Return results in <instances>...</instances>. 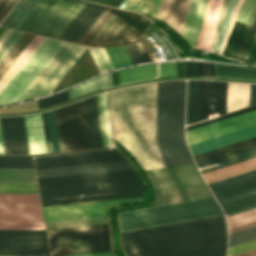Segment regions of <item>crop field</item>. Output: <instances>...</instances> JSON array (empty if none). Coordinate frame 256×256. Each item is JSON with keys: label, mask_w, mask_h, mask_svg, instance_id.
Returning <instances> with one entry per match:
<instances>
[{"label": "crop field", "mask_w": 256, "mask_h": 256, "mask_svg": "<svg viewBox=\"0 0 256 256\" xmlns=\"http://www.w3.org/2000/svg\"><path fill=\"white\" fill-rule=\"evenodd\" d=\"M185 81L135 85L108 92L114 138L145 170L194 162L184 142ZM157 97V120L156 119Z\"/></svg>", "instance_id": "1"}, {"label": "crop field", "mask_w": 256, "mask_h": 256, "mask_svg": "<svg viewBox=\"0 0 256 256\" xmlns=\"http://www.w3.org/2000/svg\"><path fill=\"white\" fill-rule=\"evenodd\" d=\"M226 223L124 240L128 256H153L194 248L224 244Z\"/></svg>", "instance_id": "2"}, {"label": "crop field", "mask_w": 256, "mask_h": 256, "mask_svg": "<svg viewBox=\"0 0 256 256\" xmlns=\"http://www.w3.org/2000/svg\"><path fill=\"white\" fill-rule=\"evenodd\" d=\"M147 172L156 188L157 206L212 197L194 163Z\"/></svg>", "instance_id": "3"}, {"label": "crop field", "mask_w": 256, "mask_h": 256, "mask_svg": "<svg viewBox=\"0 0 256 256\" xmlns=\"http://www.w3.org/2000/svg\"><path fill=\"white\" fill-rule=\"evenodd\" d=\"M221 214L222 209L210 198L122 213L119 222L125 231Z\"/></svg>", "instance_id": "4"}, {"label": "crop field", "mask_w": 256, "mask_h": 256, "mask_svg": "<svg viewBox=\"0 0 256 256\" xmlns=\"http://www.w3.org/2000/svg\"><path fill=\"white\" fill-rule=\"evenodd\" d=\"M52 256L112 251L108 224L47 230Z\"/></svg>", "instance_id": "5"}, {"label": "crop field", "mask_w": 256, "mask_h": 256, "mask_svg": "<svg viewBox=\"0 0 256 256\" xmlns=\"http://www.w3.org/2000/svg\"><path fill=\"white\" fill-rule=\"evenodd\" d=\"M86 4L79 0H41L18 29L59 39Z\"/></svg>", "instance_id": "6"}, {"label": "crop field", "mask_w": 256, "mask_h": 256, "mask_svg": "<svg viewBox=\"0 0 256 256\" xmlns=\"http://www.w3.org/2000/svg\"><path fill=\"white\" fill-rule=\"evenodd\" d=\"M0 229H45L38 194H0Z\"/></svg>", "instance_id": "7"}, {"label": "crop field", "mask_w": 256, "mask_h": 256, "mask_svg": "<svg viewBox=\"0 0 256 256\" xmlns=\"http://www.w3.org/2000/svg\"><path fill=\"white\" fill-rule=\"evenodd\" d=\"M144 185L142 181H136V182H126V183H116V184H106V185H96V186L45 190V191H40V193H41L43 206H48V205L68 204V203L95 201V200H103V199H118V198L143 196ZM110 192H122V193H113V194H105V195H97V196H89V197H81V198H71V199L50 200V199L62 198V197L110 193Z\"/></svg>", "instance_id": "8"}, {"label": "crop field", "mask_w": 256, "mask_h": 256, "mask_svg": "<svg viewBox=\"0 0 256 256\" xmlns=\"http://www.w3.org/2000/svg\"><path fill=\"white\" fill-rule=\"evenodd\" d=\"M63 43V41L45 38L0 92V105L15 103Z\"/></svg>", "instance_id": "9"}, {"label": "crop field", "mask_w": 256, "mask_h": 256, "mask_svg": "<svg viewBox=\"0 0 256 256\" xmlns=\"http://www.w3.org/2000/svg\"><path fill=\"white\" fill-rule=\"evenodd\" d=\"M224 211L236 214L256 208V170L209 184Z\"/></svg>", "instance_id": "10"}, {"label": "crop field", "mask_w": 256, "mask_h": 256, "mask_svg": "<svg viewBox=\"0 0 256 256\" xmlns=\"http://www.w3.org/2000/svg\"><path fill=\"white\" fill-rule=\"evenodd\" d=\"M86 48L65 42L18 101L50 93Z\"/></svg>", "instance_id": "11"}, {"label": "crop field", "mask_w": 256, "mask_h": 256, "mask_svg": "<svg viewBox=\"0 0 256 256\" xmlns=\"http://www.w3.org/2000/svg\"><path fill=\"white\" fill-rule=\"evenodd\" d=\"M55 112L62 151L89 149L82 100Z\"/></svg>", "instance_id": "12"}, {"label": "crop field", "mask_w": 256, "mask_h": 256, "mask_svg": "<svg viewBox=\"0 0 256 256\" xmlns=\"http://www.w3.org/2000/svg\"><path fill=\"white\" fill-rule=\"evenodd\" d=\"M0 256H50L45 230H0Z\"/></svg>", "instance_id": "13"}, {"label": "crop field", "mask_w": 256, "mask_h": 256, "mask_svg": "<svg viewBox=\"0 0 256 256\" xmlns=\"http://www.w3.org/2000/svg\"><path fill=\"white\" fill-rule=\"evenodd\" d=\"M143 197L43 207L46 222L108 216L107 205L135 203Z\"/></svg>", "instance_id": "14"}, {"label": "crop field", "mask_w": 256, "mask_h": 256, "mask_svg": "<svg viewBox=\"0 0 256 256\" xmlns=\"http://www.w3.org/2000/svg\"><path fill=\"white\" fill-rule=\"evenodd\" d=\"M150 22L122 10L94 46H115L134 42Z\"/></svg>", "instance_id": "15"}, {"label": "crop field", "mask_w": 256, "mask_h": 256, "mask_svg": "<svg viewBox=\"0 0 256 256\" xmlns=\"http://www.w3.org/2000/svg\"><path fill=\"white\" fill-rule=\"evenodd\" d=\"M141 180L136 170L38 179L40 190Z\"/></svg>", "instance_id": "16"}, {"label": "crop field", "mask_w": 256, "mask_h": 256, "mask_svg": "<svg viewBox=\"0 0 256 256\" xmlns=\"http://www.w3.org/2000/svg\"><path fill=\"white\" fill-rule=\"evenodd\" d=\"M112 149V148H108ZM103 150V149H98ZM93 151V150H87ZM84 152V151H76ZM75 153V152H66ZM66 153L36 155L47 156ZM127 159V158H126ZM117 150L34 158L36 169L126 160Z\"/></svg>", "instance_id": "17"}, {"label": "crop field", "mask_w": 256, "mask_h": 256, "mask_svg": "<svg viewBox=\"0 0 256 256\" xmlns=\"http://www.w3.org/2000/svg\"><path fill=\"white\" fill-rule=\"evenodd\" d=\"M256 124V110L187 131L188 144L197 143Z\"/></svg>", "instance_id": "18"}, {"label": "crop field", "mask_w": 256, "mask_h": 256, "mask_svg": "<svg viewBox=\"0 0 256 256\" xmlns=\"http://www.w3.org/2000/svg\"><path fill=\"white\" fill-rule=\"evenodd\" d=\"M227 82L201 81L199 121L209 114L226 113Z\"/></svg>", "instance_id": "19"}, {"label": "crop field", "mask_w": 256, "mask_h": 256, "mask_svg": "<svg viewBox=\"0 0 256 256\" xmlns=\"http://www.w3.org/2000/svg\"><path fill=\"white\" fill-rule=\"evenodd\" d=\"M256 16V0H244L234 24L251 25ZM250 26L234 25L223 55L235 59Z\"/></svg>", "instance_id": "20"}, {"label": "crop field", "mask_w": 256, "mask_h": 256, "mask_svg": "<svg viewBox=\"0 0 256 256\" xmlns=\"http://www.w3.org/2000/svg\"><path fill=\"white\" fill-rule=\"evenodd\" d=\"M0 121L5 154H29L23 116L2 117Z\"/></svg>", "instance_id": "21"}, {"label": "crop field", "mask_w": 256, "mask_h": 256, "mask_svg": "<svg viewBox=\"0 0 256 256\" xmlns=\"http://www.w3.org/2000/svg\"><path fill=\"white\" fill-rule=\"evenodd\" d=\"M134 169L128 161L36 170L38 178Z\"/></svg>", "instance_id": "22"}, {"label": "crop field", "mask_w": 256, "mask_h": 256, "mask_svg": "<svg viewBox=\"0 0 256 256\" xmlns=\"http://www.w3.org/2000/svg\"><path fill=\"white\" fill-rule=\"evenodd\" d=\"M119 84L135 80L177 76L175 62L136 66L117 71Z\"/></svg>", "instance_id": "23"}, {"label": "crop field", "mask_w": 256, "mask_h": 256, "mask_svg": "<svg viewBox=\"0 0 256 256\" xmlns=\"http://www.w3.org/2000/svg\"><path fill=\"white\" fill-rule=\"evenodd\" d=\"M104 8L88 3L60 39L77 43Z\"/></svg>", "instance_id": "24"}, {"label": "crop field", "mask_w": 256, "mask_h": 256, "mask_svg": "<svg viewBox=\"0 0 256 256\" xmlns=\"http://www.w3.org/2000/svg\"><path fill=\"white\" fill-rule=\"evenodd\" d=\"M207 2V0H190L182 36H184L193 47H196Z\"/></svg>", "instance_id": "25"}, {"label": "crop field", "mask_w": 256, "mask_h": 256, "mask_svg": "<svg viewBox=\"0 0 256 256\" xmlns=\"http://www.w3.org/2000/svg\"><path fill=\"white\" fill-rule=\"evenodd\" d=\"M188 3L189 0H161L156 18L165 21L180 35Z\"/></svg>", "instance_id": "26"}, {"label": "crop field", "mask_w": 256, "mask_h": 256, "mask_svg": "<svg viewBox=\"0 0 256 256\" xmlns=\"http://www.w3.org/2000/svg\"><path fill=\"white\" fill-rule=\"evenodd\" d=\"M256 136V125L239 131H235L223 136L206 140L197 144L190 145L192 154H198L204 151L215 149L221 146L232 144L238 141L249 139Z\"/></svg>", "instance_id": "27"}, {"label": "crop field", "mask_w": 256, "mask_h": 256, "mask_svg": "<svg viewBox=\"0 0 256 256\" xmlns=\"http://www.w3.org/2000/svg\"><path fill=\"white\" fill-rule=\"evenodd\" d=\"M211 1L212 0H209L208 6L206 9L204 21L202 24L201 32H200L197 47H196L197 49H199L200 46L208 47V48L211 47L212 39L214 36L215 28L217 25L218 17H219L221 6H222L218 4H222L223 0H213L214 3H218V4L211 3ZM203 47H201L200 49H204L208 51L210 50L208 48H203Z\"/></svg>", "instance_id": "28"}, {"label": "crop field", "mask_w": 256, "mask_h": 256, "mask_svg": "<svg viewBox=\"0 0 256 256\" xmlns=\"http://www.w3.org/2000/svg\"><path fill=\"white\" fill-rule=\"evenodd\" d=\"M24 119L30 154L46 153L40 113Z\"/></svg>", "instance_id": "29"}, {"label": "crop field", "mask_w": 256, "mask_h": 256, "mask_svg": "<svg viewBox=\"0 0 256 256\" xmlns=\"http://www.w3.org/2000/svg\"><path fill=\"white\" fill-rule=\"evenodd\" d=\"M120 11V9L106 7L78 43L93 46Z\"/></svg>", "instance_id": "30"}, {"label": "crop field", "mask_w": 256, "mask_h": 256, "mask_svg": "<svg viewBox=\"0 0 256 256\" xmlns=\"http://www.w3.org/2000/svg\"><path fill=\"white\" fill-rule=\"evenodd\" d=\"M90 149L102 147L95 96L84 99Z\"/></svg>", "instance_id": "31"}, {"label": "crop field", "mask_w": 256, "mask_h": 256, "mask_svg": "<svg viewBox=\"0 0 256 256\" xmlns=\"http://www.w3.org/2000/svg\"><path fill=\"white\" fill-rule=\"evenodd\" d=\"M249 84L228 82L227 113L248 106Z\"/></svg>", "instance_id": "32"}, {"label": "crop field", "mask_w": 256, "mask_h": 256, "mask_svg": "<svg viewBox=\"0 0 256 256\" xmlns=\"http://www.w3.org/2000/svg\"><path fill=\"white\" fill-rule=\"evenodd\" d=\"M44 37L35 35V37L30 41V43L25 47L21 54L16 58L8 70L0 78V91L9 82V80L14 76L18 69L23 65V63L28 59V57L33 53V51L38 47V45L43 41Z\"/></svg>", "instance_id": "33"}, {"label": "crop field", "mask_w": 256, "mask_h": 256, "mask_svg": "<svg viewBox=\"0 0 256 256\" xmlns=\"http://www.w3.org/2000/svg\"><path fill=\"white\" fill-rule=\"evenodd\" d=\"M222 222H225L224 217L167 226V227H161V228H155V229H149V230H143V231H137V232H131V233H125V234H122V240L144 236V235H150V234H156V233H162V232H168V231H174V230H180V229H186V228H192V227H198V226H204V225H210V224H216V223H222Z\"/></svg>", "instance_id": "34"}, {"label": "crop field", "mask_w": 256, "mask_h": 256, "mask_svg": "<svg viewBox=\"0 0 256 256\" xmlns=\"http://www.w3.org/2000/svg\"><path fill=\"white\" fill-rule=\"evenodd\" d=\"M39 1L40 0H21L0 25L17 29Z\"/></svg>", "instance_id": "35"}, {"label": "crop field", "mask_w": 256, "mask_h": 256, "mask_svg": "<svg viewBox=\"0 0 256 256\" xmlns=\"http://www.w3.org/2000/svg\"><path fill=\"white\" fill-rule=\"evenodd\" d=\"M217 77L256 80V66H233L214 63Z\"/></svg>", "instance_id": "36"}, {"label": "crop field", "mask_w": 256, "mask_h": 256, "mask_svg": "<svg viewBox=\"0 0 256 256\" xmlns=\"http://www.w3.org/2000/svg\"><path fill=\"white\" fill-rule=\"evenodd\" d=\"M54 152L61 151L55 113L48 112ZM47 112L41 113L47 153L53 152Z\"/></svg>", "instance_id": "37"}, {"label": "crop field", "mask_w": 256, "mask_h": 256, "mask_svg": "<svg viewBox=\"0 0 256 256\" xmlns=\"http://www.w3.org/2000/svg\"><path fill=\"white\" fill-rule=\"evenodd\" d=\"M112 86L110 73L71 88L73 99L88 92Z\"/></svg>", "instance_id": "38"}, {"label": "crop field", "mask_w": 256, "mask_h": 256, "mask_svg": "<svg viewBox=\"0 0 256 256\" xmlns=\"http://www.w3.org/2000/svg\"><path fill=\"white\" fill-rule=\"evenodd\" d=\"M0 182H36L34 169H0Z\"/></svg>", "instance_id": "39"}, {"label": "crop field", "mask_w": 256, "mask_h": 256, "mask_svg": "<svg viewBox=\"0 0 256 256\" xmlns=\"http://www.w3.org/2000/svg\"><path fill=\"white\" fill-rule=\"evenodd\" d=\"M33 36V34L24 33L23 36L14 45V47L10 50V52L5 56V58L0 63V77L15 60V58L20 54L28 42L33 38Z\"/></svg>", "instance_id": "40"}, {"label": "crop field", "mask_w": 256, "mask_h": 256, "mask_svg": "<svg viewBox=\"0 0 256 256\" xmlns=\"http://www.w3.org/2000/svg\"><path fill=\"white\" fill-rule=\"evenodd\" d=\"M254 144H256V137L252 138V139H249V140L242 141V142H238V143H235V144H232V145L221 147V148H218V149H215V150L204 152V153H201V154H198V155H194L193 157L196 160V162H198V161L210 158V157H214V156H217V155H220V154H224V153L234 151V150H237V149H240V148H244V147H247V146H251V145H254Z\"/></svg>", "instance_id": "41"}, {"label": "crop field", "mask_w": 256, "mask_h": 256, "mask_svg": "<svg viewBox=\"0 0 256 256\" xmlns=\"http://www.w3.org/2000/svg\"><path fill=\"white\" fill-rule=\"evenodd\" d=\"M159 2L160 0H131L125 9L156 17Z\"/></svg>", "instance_id": "42"}, {"label": "crop field", "mask_w": 256, "mask_h": 256, "mask_svg": "<svg viewBox=\"0 0 256 256\" xmlns=\"http://www.w3.org/2000/svg\"><path fill=\"white\" fill-rule=\"evenodd\" d=\"M226 244L162 256H225Z\"/></svg>", "instance_id": "43"}, {"label": "crop field", "mask_w": 256, "mask_h": 256, "mask_svg": "<svg viewBox=\"0 0 256 256\" xmlns=\"http://www.w3.org/2000/svg\"><path fill=\"white\" fill-rule=\"evenodd\" d=\"M0 168H34L30 156H0Z\"/></svg>", "instance_id": "44"}, {"label": "crop field", "mask_w": 256, "mask_h": 256, "mask_svg": "<svg viewBox=\"0 0 256 256\" xmlns=\"http://www.w3.org/2000/svg\"><path fill=\"white\" fill-rule=\"evenodd\" d=\"M0 193H38L36 183H0Z\"/></svg>", "instance_id": "45"}, {"label": "crop field", "mask_w": 256, "mask_h": 256, "mask_svg": "<svg viewBox=\"0 0 256 256\" xmlns=\"http://www.w3.org/2000/svg\"><path fill=\"white\" fill-rule=\"evenodd\" d=\"M114 68L132 64L124 47L105 48Z\"/></svg>", "instance_id": "46"}, {"label": "crop field", "mask_w": 256, "mask_h": 256, "mask_svg": "<svg viewBox=\"0 0 256 256\" xmlns=\"http://www.w3.org/2000/svg\"><path fill=\"white\" fill-rule=\"evenodd\" d=\"M253 157H256V149L251 150V151H247V152L235 155V156H231V157H228V158H225V159H222V160H218V161L206 164V165L199 166V169L214 165L215 163L221 162V161H223L224 165L226 166V165H230V164H233V163H236V162H239V161H243V160H246V159H249V158H253ZM216 168H218V167L215 166V167H212V168H209V169L201 170V173L206 172V171H210V170H213V169H216Z\"/></svg>", "instance_id": "47"}, {"label": "crop field", "mask_w": 256, "mask_h": 256, "mask_svg": "<svg viewBox=\"0 0 256 256\" xmlns=\"http://www.w3.org/2000/svg\"><path fill=\"white\" fill-rule=\"evenodd\" d=\"M228 227L233 228L246 223L256 221V209L227 217Z\"/></svg>", "instance_id": "48"}, {"label": "crop field", "mask_w": 256, "mask_h": 256, "mask_svg": "<svg viewBox=\"0 0 256 256\" xmlns=\"http://www.w3.org/2000/svg\"><path fill=\"white\" fill-rule=\"evenodd\" d=\"M100 72L113 69V66L104 50V48H89Z\"/></svg>", "instance_id": "49"}, {"label": "crop field", "mask_w": 256, "mask_h": 256, "mask_svg": "<svg viewBox=\"0 0 256 256\" xmlns=\"http://www.w3.org/2000/svg\"><path fill=\"white\" fill-rule=\"evenodd\" d=\"M107 147L113 146L105 94H99Z\"/></svg>", "instance_id": "50"}, {"label": "crop field", "mask_w": 256, "mask_h": 256, "mask_svg": "<svg viewBox=\"0 0 256 256\" xmlns=\"http://www.w3.org/2000/svg\"><path fill=\"white\" fill-rule=\"evenodd\" d=\"M256 238V227L229 235L228 247Z\"/></svg>", "instance_id": "51"}, {"label": "crop field", "mask_w": 256, "mask_h": 256, "mask_svg": "<svg viewBox=\"0 0 256 256\" xmlns=\"http://www.w3.org/2000/svg\"><path fill=\"white\" fill-rule=\"evenodd\" d=\"M23 32L13 30L12 33L7 37V39L0 46V61L8 53V51L13 47L17 40L22 36Z\"/></svg>", "instance_id": "52"}, {"label": "crop field", "mask_w": 256, "mask_h": 256, "mask_svg": "<svg viewBox=\"0 0 256 256\" xmlns=\"http://www.w3.org/2000/svg\"><path fill=\"white\" fill-rule=\"evenodd\" d=\"M68 99H69L68 92L66 90L62 93H59V94L55 95V96H52V97H49V98H46V99H43V100H39L38 101L39 109L43 108V107H49V106H52V105H55V104L62 103L64 101L68 100Z\"/></svg>", "instance_id": "53"}, {"label": "crop field", "mask_w": 256, "mask_h": 256, "mask_svg": "<svg viewBox=\"0 0 256 256\" xmlns=\"http://www.w3.org/2000/svg\"><path fill=\"white\" fill-rule=\"evenodd\" d=\"M236 2H237V0H231V2L229 4L228 11H227V14H226V17H225V20H224V23H223V26H222V29H221V32H220V36H219V39H218L215 51H214L216 53L219 50L220 44L222 42L223 36L225 34V31H226V28L228 26V23L230 21V18H231V15L233 13V10H234V7L236 5Z\"/></svg>", "instance_id": "54"}, {"label": "crop field", "mask_w": 256, "mask_h": 256, "mask_svg": "<svg viewBox=\"0 0 256 256\" xmlns=\"http://www.w3.org/2000/svg\"><path fill=\"white\" fill-rule=\"evenodd\" d=\"M256 248V239L228 248L227 256L235 255Z\"/></svg>", "instance_id": "55"}, {"label": "crop field", "mask_w": 256, "mask_h": 256, "mask_svg": "<svg viewBox=\"0 0 256 256\" xmlns=\"http://www.w3.org/2000/svg\"><path fill=\"white\" fill-rule=\"evenodd\" d=\"M241 60H244L247 62L256 61V31Z\"/></svg>", "instance_id": "56"}, {"label": "crop field", "mask_w": 256, "mask_h": 256, "mask_svg": "<svg viewBox=\"0 0 256 256\" xmlns=\"http://www.w3.org/2000/svg\"><path fill=\"white\" fill-rule=\"evenodd\" d=\"M194 80L188 81L186 125L191 124Z\"/></svg>", "instance_id": "57"}, {"label": "crop field", "mask_w": 256, "mask_h": 256, "mask_svg": "<svg viewBox=\"0 0 256 256\" xmlns=\"http://www.w3.org/2000/svg\"><path fill=\"white\" fill-rule=\"evenodd\" d=\"M124 47L133 64L144 61L135 43L125 45Z\"/></svg>", "instance_id": "58"}, {"label": "crop field", "mask_w": 256, "mask_h": 256, "mask_svg": "<svg viewBox=\"0 0 256 256\" xmlns=\"http://www.w3.org/2000/svg\"><path fill=\"white\" fill-rule=\"evenodd\" d=\"M253 109H256V105L245 108V109H242V110H239V111H235V112H232V113H229V114L217 117V118H213V119H210V120L198 123V124L188 126V127H186V130L190 129V128L197 127V126H200V125H204V124H207V123H210V122H213V121H217V120H220V119H223V118H227V117H230V116H233V115H236V114H240V113H243V112H246V111H249V110H253Z\"/></svg>", "instance_id": "59"}, {"label": "crop field", "mask_w": 256, "mask_h": 256, "mask_svg": "<svg viewBox=\"0 0 256 256\" xmlns=\"http://www.w3.org/2000/svg\"><path fill=\"white\" fill-rule=\"evenodd\" d=\"M229 1L230 0H224L222 11H221V14H220V18H219V21H218L217 29H216L215 36H214L213 43H212V47H211L212 49L215 48L217 38H218L222 23H223V20H224V17H225V13H226Z\"/></svg>", "instance_id": "60"}, {"label": "crop field", "mask_w": 256, "mask_h": 256, "mask_svg": "<svg viewBox=\"0 0 256 256\" xmlns=\"http://www.w3.org/2000/svg\"><path fill=\"white\" fill-rule=\"evenodd\" d=\"M200 81L195 80L192 123L198 121V98Z\"/></svg>", "instance_id": "61"}, {"label": "crop field", "mask_w": 256, "mask_h": 256, "mask_svg": "<svg viewBox=\"0 0 256 256\" xmlns=\"http://www.w3.org/2000/svg\"><path fill=\"white\" fill-rule=\"evenodd\" d=\"M200 76H215L213 63L198 62Z\"/></svg>", "instance_id": "62"}, {"label": "crop field", "mask_w": 256, "mask_h": 256, "mask_svg": "<svg viewBox=\"0 0 256 256\" xmlns=\"http://www.w3.org/2000/svg\"><path fill=\"white\" fill-rule=\"evenodd\" d=\"M242 2H243V0H239L238 3H237V5H236V7H235V10H234V13H233V15H232L231 21H230V23H229L228 29H227V31H226V34H225V36H224V39H223V42H222V44H221L220 50H219V52H218V53H220V54H221L222 51H223L224 45H225V43H226V40H227L228 35H229V33H230L231 27H232V25H233V22H234V20H235V17H236V15H237V13H238V10H239V8H240Z\"/></svg>", "instance_id": "63"}, {"label": "crop field", "mask_w": 256, "mask_h": 256, "mask_svg": "<svg viewBox=\"0 0 256 256\" xmlns=\"http://www.w3.org/2000/svg\"><path fill=\"white\" fill-rule=\"evenodd\" d=\"M185 76H199L197 62H183Z\"/></svg>", "instance_id": "64"}, {"label": "crop field", "mask_w": 256, "mask_h": 256, "mask_svg": "<svg viewBox=\"0 0 256 256\" xmlns=\"http://www.w3.org/2000/svg\"><path fill=\"white\" fill-rule=\"evenodd\" d=\"M16 1L17 0H0V21L16 3Z\"/></svg>", "instance_id": "65"}, {"label": "crop field", "mask_w": 256, "mask_h": 256, "mask_svg": "<svg viewBox=\"0 0 256 256\" xmlns=\"http://www.w3.org/2000/svg\"><path fill=\"white\" fill-rule=\"evenodd\" d=\"M255 28H256V19H255V21H254V23H253V25H252V27H251L247 37H246V39H245V41H244V43H243V45H242V47H241L237 57H236V59H238V60L241 59V57H242V55H243V53H244V51H245V49H246L250 39L252 37V34H253Z\"/></svg>", "instance_id": "66"}, {"label": "crop field", "mask_w": 256, "mask_h": 256, "mask_svg": "<svg viewBox=\"0 0 256 256\" xmlns=\"http://www.w3.org/2000/svg\"><path fill=\"white\" fill-rule=\"evenodd\" d=\"M254 148H256V145L252 146V147L242 149V150H238V151H235V152H232V153H229V154H225V155H222V156H219V157H216V158H212V159H209V160L198 162L197 165L199 166V165H202V164H206V163H209V162H212V161H215V160H218V159H222V158H225V157H228V156H231V155H235V154H238V153H241V152H244V151H247V150H251V149H254Z\"/></svg>", "instance_id": "67"}, {"label": "crop field", "mask_w": 256, "mask_h": 256, "mask_svg": "<svg viewBox=\"0 0 256 256\" xmlns=\"http://www.w3.org/2000/svg\"><path fill=\"white\" fill-rule=\"evenodd\" d=\"M89 1H94V2L119 8V6L123 3L124 0H89Z\"/></svg>", "instance_id": "68"}, {"label": "crop field", "mask_w": 256, "mask_h": 256, "mask_svg": "<svg viewBox=\"0 0 256 256\" xmlns=\"http://www.w3.org/2000/svg\"><path fill=\"white\" fill-rule=\"evenodd\" d=\"M256 104V84H250L249 106Z\"/></svg>", "instance_id": "69"}, {"label": "crop field", "mask_w": 256, "mask_h": 256, "mask_svg": "<svg viewBox=\"0 0 256 256\" xmlns=\"http://www.w3.org/2000/svg\"><path fill=\"white\" fill-rule=\"evenodd\" d=\"M96 99H97V107H98V114H99V121H100L102 144H103V147H106L98 95L96 96Z\"/></svg>", "instance_id": "70"}, {"label": "crop field", "mask_w": 256, "mask_h": 256, "mask_svg": "<svg viewBox=\"0 0 256 256\" xmlns=\"http://www.w3.org/2000/svg\"><path fill=\"white\" fill-rule=\"evenodd\" d=\"M253 226H256V222H253V223H250V224H246V225H243V226H240V227H237V228L230 229L229 230V234L233 233V232H237V231L243 230V229H246V228H249V227H253Z\"/></svg>", "instance_id": "71"}, {"label": "crop field", "mask_w": 256, "mask_h": 256, "mask_svg": "<svg viewBox=\"0 0 256 256\" xmlns=\"http://www.w3.org/2000/svg\"><path fill=\"white\" fill-rule=\"evenodd\" d=\"M136 44H137V46H138V48H139V50H140L144 60L145 61H150L148 56H147V54H146V52H145V49H144V47H143V45H142V43L140 41V39L136 42Z\"/></svg>", "instance_id": "72"}, {"label": "crop field", "mask_w": 256, "mask_h": 256, "mask_svg": "<svg viewBox=\"0 0 256 256\" xmlns=\"http://www.w3.org/2000/svg\"><path fill=\"white\" fill-rule=\"evenodd\" d=\"M77 256H113L112 252L107 253H97V254H87V255H77Z\"/></svg>", "instance_id": "73"}, {"label": "crop field", "mask_w": 256, "mask_h": 256, "mask_svg": "<svg viewBox=\"0 0 256 256\" xmlns=\"http://www.w3.org/2000/svg\"><path fill=\"white\" fill-rule=\"evenodd\" d=\"M235 256H256V249Z\"/></svg>", "instance_id": "74"}, {"label": "crop field", "mask_w": 256, "mask_h": 256, "mask_svg": "<svg viewBox=\"0 0 256 256\" xmlns=\"http://www.w3.org/2000/svg\"><path fill=\"white\" fill-rule=\"evenodd\" d=\"M12 30L6 29L5 32L0 36V45L6 39V37L11 33Z\"/></svg>", "instance_id": "75"}, {"label": "crop field", "mask_w": 256, "mask_h": 256, "mask_svg": "<svg viewBox=\"0 0 256 256\" xmlns=\"http://www.w3.org/2000/svg\"><path fill=\"white\" fill-rule=\"evenodd\" d=\"M0 154H4L2 136H1V129H0Z\"/></svg>", "instance_id": "76"}, {"label": "crop field", "mask_w": 256, "mask_h": 256, "mask_svg": "<svg viewBox=\"0 0 256 256\" xmlns=\"http://www.w3.org/2000/svg\"><path fill=\"white\" fill-rule=\"evenodd\" d=\"M176 65H177V73H178V76H181V72H180V62H176Z\"/></svg>", "instance_id": "77"}, {"label": "crop field", "mask_w": 256, "mask_h": 256, "mask_svg": "<svg viewBox=\"0 0 256 256\" xmlns=\"http://www.w3.org/2000/svg\"><path fill=\"white\" fill-rule=\"evenodd\" d=\"M129 1L130 0H126L122 5H121V7L120 8H122V9H124L125 8V6L129 3Z\"/></svg>", "instance_id": "78"}, {"label": "crop field", "mask_w": 256, "mask_h": 256, "mask_svg": "<svg viewBox=\"0 0 256 256\" xmlns=\"http://www.w3.org/2000/svg\"><path fill=\"white\" fill-rule=\"evenodd\" d=\"M5 28L0 27V35L4 32Z\"/></svg>", "instance_id": "79"}]
</instances>
